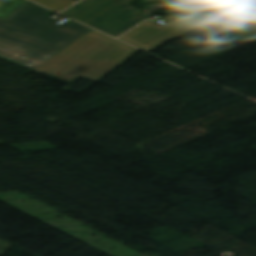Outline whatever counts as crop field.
Segmentation results:
<instances>
[{
	"label": "crop field",
	"instance_id": "obj_1",
	"mask_svg": "<svg viewBox=\"0 0 256 256\" xmlns=\"http://www.w3.org/2000/svg\"><path fill=\"white\" fill-rule=\"evenodd\" d=\"M137 51L93 30L34 71L70 82L79 76L97 82Z\"/></svg>",
	"mask_w": 256,
	"mask_h": 256
},
{
	"label": "crop field",
	"instance_id": "obj_2",
	"mask_svg": "<svg viewBox=\"0 0 256 256\" xmlns=\"http://www.w3.org/2000/svg\"><path fill=\"white\" fill-rule=\"evenodd\" d=\"M45 11L25 0L0 20V58L33 70L69 45L26 29Z\"/></svg>",
	"mask_w": 256,
	"mask_h": 256
},
{
	"label": "crop field",
	"instance_id": "obj_3",
	"mask_svg": "<svg viewBox=\"0 0 256 256\" xmlns=\"http://www.w3.org/2000/svg\"><path fill=\"white\" fill-rule=\"evenodd\" d=\"M129 0H84L63 14L108 33L138 15Z\"/></svg>",
	"mask_w": 256,
	"mask_h": 256
},
{
	"label": "crop field",
	"instance_id": "obj_4",
	"mask_svg": "<svg viewBox=\"0 0 256 256\" xmlns=\"http://www.w3.org/2000/svg\"><path fill=\"white\" fill-rule=\"evenodd\" d=\"M164 22L167 24L159 27L147 20L119 39L150 52L170 39L209 28L193 22L184 15L169 16Z\"/></svg>",
	"mask_w": 256,
	"mask_h": 256
},
{
	"label": "crop field",
	"instance_id": "obj_5",
	"mask_svg": "<svg viewBox=\"0 0 256 256\" xmlns=\"http://www.w3.org/2000/svg\"><path fill=\"white\" fill-rule=\"evenodd\" d=\"M52 13L53 11L47 10L32 25H30L28 29L64 41L69 44L73 43L74 41H76L77 39H79L80 37L84 36L92 30L77 22H70L68 24L61 26L51 24V20L47 18Z\"/></svg>",
	"mask_w": 256,
	"mask_h": 256
},
{
	"label": "crop field",
	"instance_id": "obj_6",
	"mask_svg": "<svg viewBox=\"0 0 256 256\" xmlns=\"http://www.w3.org/2000/svg\"><path fill=\"white\" fill-rule=\"evenodd\" d=\"M247 0H212L209 2H197L188 0H176L178 4L172 10L166 11L165 13H170L174 11H184L191 15L201 19L234 5L242 3Z\"/></svg>",
	"mask_w": 256,
	"mask_h": 256
},
{
	"label": "crop field",
	"instance_id": "obj_7",
	"mask_svg": "<svg viewBox=\"0 0 256 256\" xmlns=\"http://www.w3.org/2000/svg\"><path fill=\"white\" fill-rule=\"evenodd\" d=\"M172 3H155L151 4L145 7V10L143 13L139 14L138 16L134 17L130 21L126 22L125 24L121 25L120 27L116 28L112 32L108 33L114 37L120 35L124 31L128 30L138 22L142 21L143 19L152 16L153 13H155L156 10H158L160 7L163 6H170Z\"/></svg>",
	"mask_w": 256,
	"mask_h": 256
},
{
	"label": "crop field",
	"instance_id": "obj_8",
	"mask_svg": "<svg viewBox=\"0 0 256 256\" xmlns=\"http://www.w3.org/2000/svg\"><path fill=\"white\" fill-rule=\"evenodd\" d=\"M250 11H253V12L256 13V0H249L247 2H244L242 4L234 6L230 9H227L225 11H222L220 13L212 15L209 18L212 19V20H216V19L221 18V17H223L225 15H228L230 13L243 14V13L250 12Z\"/></svg>",
	"mask_w": 256,
	"mask_h": 256
},
{
	"label": "crop field",
	"instance_id": "obj_9",
	"mask_svg": "<svg viewBox=\"0 0 256 256\" xmlns=\"http://www.w3.org/2000/svg\"><path fill=\"white\" fill-rule=\"evenodd\" d=\"M240 22L246 24L247 26L252 27L253 29L241 32L237 35H233L229 38H231L234 41H254L256 40V17L251 16L242 20H239Z\"/></svg>",
	"mask_w": 256,
	"mask_h": 256
},
{
	"label": "crop field",
	"instance_id": "obj_10",
	"mask_svg": "<svg viewBox=\"0 0 256 256\" xmlns=\"http://www.w3.org/2000/svg\"><path fill=\"white\" fill-rule=\"evenodd\" d=\"M24 0H0V19L4 20Z\"/></svg>",
	"mask_w": 256,
	"mask_h": 256
},
{
	"label": "crop field",
	"instance_id": "obj_11",
	"mask_svg": "<svg viewBox=\"0 0 256 256\" xmlns=\"http://www.w3.org/2000/svg\"><path fill=\"white\" fill-rule=\"evenodd\" d=\"M34 1L39 2L45 6H48L56 11H61L65 7L75 2L73 0H34Z\"/></svg>",
	"mask_w": 256,
	"mask_h": 256
},
{
	"label": "crop field",
	"instance_id": "obj_12",
	"mask_svg": "<svg viewBox=\"0 0 256 256\" xmlns=\"http://www.w3.org/2000/svg\"><path fill=\"white\" fill-rule=\"evenodd\" d=\"M214 33L215 35L214 36H211V34ZM217 35H221V32H219L218 30L214 29L212 31H208L206 34H204V36L206 37V39H209V38H214L216 37Z\"/></svg>",
	"mask_w": 256,
	"mask_h": 256
},
{
	"label": "crop field",
	"instance_id": "obj_13",
	"mask_svg": "<svg viewBox=\"0 0 256 256\" xmlns=\"http://www.w3.org/2000/svg\"><path fill=\"white\" fill-rule=\"evenodd\" d=\"M161 1V0H143V2Z\"/></svg>",
	"mask_w": 256,
	"mask_h": 256
}]
</instances>
